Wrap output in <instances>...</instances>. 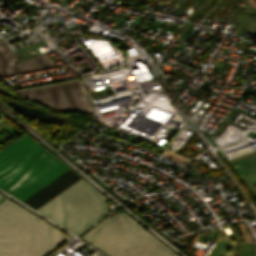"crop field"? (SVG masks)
Instances as JSON below:
<instances>
[{
	"instance_id": "obj_11",
	"label": "crop field",
	"mask_w": 256,
	"mask_h": 256,
	"mask_svg": "<svg viewBox=\"0 0 256 256\" xmlns=\"http://www.w3.org/2000/svg\"><path fill=\"white\" fill-rule=\"evenodd\" d=\"M1 198V197H0Z\"/></svg>"
},
{
	"instance_id": "obj_2",
	"label": "crop field",
	"mask_w": 256,
	"mask_h": 256,
	"mask_svg": "<svg viewBox=\"0 0 256 256\" xmlns=\"http://www.w3.org/2000/svg\"><path fill=\"white\" fill-rule=\"evenodd\" d=\"M82 239L109 256H176L124 213L104 219Z\"/></svg>"
},
{
	"instance_id": "obj_10",
	"label": "crop field",
	"mask_w": 256,
	"mask_h": 256,
	"mask_svg": "<svg viewBox=\"0 0 256 256\" xmlns=\"http://www.w3.org/2000/svg\"><path fill=\"white\" fill-rule=\"evenodd\" d=\"M192 26H193V25H191L190 28L187 30V32L184 34V37H185V35L188 33V31L191 29Z\"/></svg>"
},
{
	"instance_id": "obj_6",
	"label": "crop field",
	"mask_w": 256,
	"mask_h": 256,
	"mask_svg": "<svg viewBox=\"0 0 256 256\" xmlns=\"http://www.w3.org/2000/svg\"><path fill=\"white\" fill-rule=\"evenodd\" d=\"M251 18L248 17V19L246 20V22L244 23V25L241 28V31H244L245 27L247 26V24L249 23ZM253 20L251 19L250 23L248 24L247 28L245 29L246 32H248L250 26L252 25Z\"/></svg>"
},
{
	"instance_id": "obj_7",
	"label": "crop field",
	"mask_w": 256,
	"mask_h": 256,
	"mask_svg": "<svg viewBox=\"0 0 256 256\" xmlns=\"http://www.w3.org/2000/svg\"><path fill=\"white\" fill-rule=\"evenodd\" d=\"M204 2H205V0H204L197 8H199ZM200 9H201V7H200L197 11H199ZM195 11H196V10H194V11L190 14V16L187 18V20L190 19V17L195 13ZM197 11H196V12H197ZM195 17H196V14H194V15L191 17L190 21H192Z\"/></svg>"
},
{
	"instance_id": "obj_9",
	"label": "crop field",
	"mask_w": 256,
	"mask_h": 256,
	"mask_svg": "<svg viewBox=\"0 0 256 256\" xmlns=\"http://www.w3.org/2000/svg\"><path fill=\"white\" fill-rule=\"evenodd\" d=\"M219 1H220V0H218V2H217L216 5L213 7V9L217 6V4L219 3ZM213 9H212V10H213ZM212 10L207 14L206 18H207L208 15L212 12ZM206 18H205V19H206ZM203 20H204V19H203ZM204 21H205V20H204ZM204 21H203V22H204ZM202 25H203V23H202Z\"/></svg>"
},
{
	"instance_id": "obj_5",
	"label": "crop field",
	"mask_w": 256,
	"mask_h": 256,
	"mask_svg": "<svg viewBox=\"0 0 256 256\" xmlns=\"http://www.w3.org/2000/svg\"><path fill=\"white\" fill-rule=\"evenodd\" d=\"M57 66L47 55L19 63L0 40V77Z\"/></svg>"
},
{
	"instance_id": "obj_1",
	"label": "crop field",
	"mask_w": 256,
	"mask_h": 256,
	"mask_svg": "<svg viewBox=\"0 0 256 256\" xmlns=\"http://www.w3.org/2000/svg\"><path fill=\"white\" fill-rule=\"evenodd\" d=\"M67 169L27 135L0 153V188L23 201Z\"/></svg>"
},
{
	"instance_id": "obj_8",
	"label": "crop field",
	"mask_w": 256,
	"mask_h": 256,
	"mask_svg": "<svg viewBox=\"0 0 256 256\" xmlns=\"http://www.w3.org/2000/svg\"><path fill=\"white\" fill-rule=\"evenodd\" d=\"M242 2H243L244 4H245V2H246V4H247L250 8H252L254 11H256V8L249 2V0H245V2H244V1H242ZM246 4H245V5H246ZM247 5H246V6H247ZM248 6H247V7H248ZM249 7H248V8H249ZM250 8H249V9H250ZM250 10H251V9H250ZM253 10H251V11L256 14V12H254Z\"/></svg>"
},
{
	"instance_id": "obj_4",
	"label": "crop field",
	"mask_w": 256,
	"mask_h": 256,
	"mask_svg": "<svg viewBox=\"0 0 256 256\" xmlns=\"http://www.w3.org/2000/svg\"><path fill=\"white\" fill-rule=\"evenodd\" d=\"M18 93L55 111H83L93 114L92 105L80 80L24 90Z\"/></svg>"
},
{
	"instance_id": "obj_3",
	"label": "crop field",
	"mask_w": 256,
	"mask_h": 256,
	"mask_svg": "<svg viewBox=\"0 0 256 256\" xmlns=\"http://www.w3.org/2000/svg\"><path fill=\"white\" fill-rule=\"evenodd\" d=\"M106 200L82 178L36 211L78 235L108 213Z\"/></svg>"
}]
</instances>
